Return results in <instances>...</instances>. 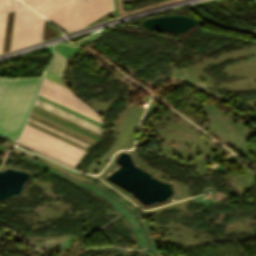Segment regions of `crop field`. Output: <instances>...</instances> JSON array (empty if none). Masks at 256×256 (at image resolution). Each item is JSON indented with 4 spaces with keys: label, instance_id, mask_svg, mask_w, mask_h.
Wrapping results in <instances>:
<instances>
[{
    "label": "crop field",
    "instance_id": "crop-field-4",
    "mask_svg": "<svg viewBox=\"0 0 256 256\" xmlns=\"http://www.w3.org/2000/svg\"><path fill=\"white\" fill-rule=\"evenodd\" d=\"M23 131L41 139V140H44V141H46L50 144H53V145H55L59 148H62V149L66 150L70 153H73V154H75L79 157H81L84 154V151H82V150H80V149H78V148H76L72 145H69V144H67V143H65V142H63V141H61L57 138H54V137H52V136H50V135H48V134H46L42 131H39V130H37V129H35V128L27 125V124L25 125V128H24ZM24 132H22V134H21V137H20L21 139H23V140H25L29 143H32V144H34V145H36L40 148H43V149H45V150H47V151H49L53 154H56V155H58V156H60L64 159H67V160H69V161H71L75 164L79 160V157H77L73 154H70V153H68V152H66L62 149H59V148H57L53 145H50V144H48L44 141H41V140H39V139H37L33 136H30V135H28Z\"/></svg>",
    "mask_w": 256,
    "mask_h": 256
},
{
    "label": "crop field",
    "instance_id": "crop-field-3",
    "mask_svg": "<svg viewBox=\"0 0 256 256\" xmlns=\"http://www.w3.org/2000/svg\"><path fill=\"white\" fill-rule=\"evenodd\" d=\"M43 17L17 0L11 40V50L41 41Z\"/></svg>",
    "mask_w": 256,
    "mask_h": 256
},
{
    "label": "crop field",
    "instance_id": "crop-field-2",
    "mask_svg": "<svg viewBox=\"0 0 256 256\" xmlns=\"http://www.w3.org/2000/svg\"><path fill=\"white\" fill-rule=\"evenodd\" d=\"M74 0L59 10L46 16L50 20L71 31L81 28L114 10L113 0Z\"/></svg>",
    "mask_w": 256,
    "mask_h": 256
},
{
    "label": "crop field",
    "instance_id": "crop-field-8",
    "mask_svg": "<svg viewBox=\"0 0 256 256\" xmlns=\"http://www.w3.org/2000/svg\"><path fill=\"white\" fill-rule=\"evenodd\" d=\"M18 143L23 145V146H25V147H27V148H30V149L38 152V153H41V154H43V155H45V156H47L49 158H52V159H54V160H56V161H58L60 163H63V164H65V165H67V166H69L71 168H73L75 166V164H73V163H71V162H69L67 160H64V159H62V158H60V157H58L56 155H53V154H51V153H49V152H47V151H45L43 149H40V148H38V147H36V146H34L32 144H29V143H27V142H25V141H23L21 139L19 140Z\"/></svg>",
    "mask_w": 256,
    "mask_h": 256
},
{
    "label": "crop field",
    "instance_id": "crop-field-9",
    "mask_svg": "<svg viewBox=\"0 0 256 256\" xmlns=\"http://www.w3.org/2000/svg\"><path fill=\"white\" fill-rule=\"evenodd\" d=\"M67 61L68 60H66L64 57H62L56 51H54V60L48 70L62 77L63 70H64V67H65Z\"/></svg>",
    "mask_w": 256,
    "mask_h": 256
},
{
    "label": "crop field",
    "instance_id": "crop-field-1",
    "mask_svg": "<svg viewBox=\"0 0 256 256\" xmlns=\"http://www.w3.org/2000/svg\"><path fill=\"white\" fill-rule=\"evenodd\" d=\"M43 77H0V134L16 140Z\"/></svg>",
    "mask_w": 256,
    "mask_h": 256
},
{
    "label": "crop field",
    "instance_id": "crop-field-12",
    "mask_svg": "<svg viewBox=\"0 0 256 256\" xmlns=\"http://www.w3.org/2000/svg\"><path fill=\"white\" fill-rule=\"evenodd\" d=\"M15 0H0V13L13 10Z\"/></svg>",
    "mask_w": 256,
    "mask_h": 256
},
{
    "label": "crop field",
    "instance_id": "crop-field-6",
    "mask_svg": "<svg viewBox=\"0 0 256 256\" xmlns=\"http://www.w3.org/2000/svg\"><path fill=\"white\" fill-rule=\"evenodd\" d=\"M43 15H48L72 0H22ZM56 1V2H55Z\"/></svg>",
    "mask_w": 256,
    "mask_h": 256
},
{
    "label": "crop field",
    "instance_id": "crop-field-7",
    "mask_svg": "<svg viewBox=\"0 0 256 256\" xmlns=\"http://www.w3.org/2000/svg\"><path fill=\"white\" fill-rule=\"evenodd\" d=\"M40 92H42V93H44L46 95H49V96H51V97H53L55 99H58V100H60V101H62L64 103H67V104H69V105H71L73 107H76V108H78V109H80L82 111H85V112H87V113H89L91 115H94V116L100 118L98 116V114L94 110H92L88 105H86V104H84L82 102H79V101H77L75 99H72V98H70V97H68L66 95H63V94H61L59 92H56V91H54V90H52L50 88H47V87L42 85L41 89H40Z\"/></svg>",
    "mask_w": 256,
    "mask_h": 256
},
{
    "label": "crop field",
    "instance_id": "crop-field-10",
    "mask_svg": "<svg viewBox=\"0 0 256 256\" xmlns=\"http://www.w3.org/2000/svg\"><path fill=\"white\" fill-rule=\"evenodd\" d=\"M28 121H30V122H32V123H34V124H36V125H39V126L45 128V129H48V130H50V131H52V132H54V133H56V134H59V135L65 137V138H67V139H70V140H72V141H74V142H76V143H79V144H81V145H83V146H85V147H87V148L90 147V145H88V144H86V143H84V142H81V141H79V140H77V139H75V138H72V137H70V136H68V135H66V134H63V133H61V132H59V131H57V130H54V129L48 127V126H45V125H43V124H41V123H39V122H36V121H34V120L30 119V118H28Z\"/></svg>",
    "mask_w": 256,
    "mask_h": 256
},
{
    "label": "crop field",
    "instance_id": "crop-field-13",
    "mask_svg": "<svg viewBox=\"0 0 256 256\" xmlns=\"http://www.w3.org/2000/svg\"><path fill=\"white\" fill-rule=\"evenodd\" d=\"M6 16H7V13L0 15V53H1V50H2V43H3V36H4V30H5Z\"/></svg>",
    "mask_w": 256,
    "mask_h": 256
},
{
    "label": "crop field",
    "instance_id": "crop-field-11",
    "mask_svg": "<svg viewBox=\"0 0 256 256\" xmlns=\"http://www.w3.org/2000/svg\"><path fill=\"white\" fill-rule=\"evenodd\" d=\"M45 79H46V78H45ZM46 80H48V79H46ZM46 80H44L43 85H45V86H47V87H50V88H52V89H54V90H56V91H59V92H61V93H63V94H66V95H68V96H70V97H73V98L79 100V99H78L77 97H75L71 92L67 91V90H69V89H67V88H65V87H63V86H61V85H59V84H56V83H54V82L48 80V81H50V82H52V83H54V84H56V85H59V86L65 88V89H67V90H65V89H63V88H61V87H59V86H56V85H54V84H52V83H50V82H48V81H46ZM79 101H81V100H79Z\"/></svg>",
    "mask_w": 256,
    "mask_h": 256
},
{
    "label": "crop field",
    "instance_id": "crop-field-5",
    "mask_svg": "<svg viewBox=\"0 0 256 256\" xmlns=\"http://www.w3.org/2000/svg\"><path fill=\"white\" fill-rule=\"evenodd\" d=\"M34 104L101 134V131H102L101 128H99V127H97V126H95V125H93V124H91L87 121H84V120H82V119H80V118H78V117H76L72 114H69V113H67V112H65V111H63V110H61V109H59L55 106H52V105H50V104H48V103H46V102H44L40 99H36Z\"/></svg>",
    "mask_w": 256,
    "mask_h": 256
}]
</instances>
